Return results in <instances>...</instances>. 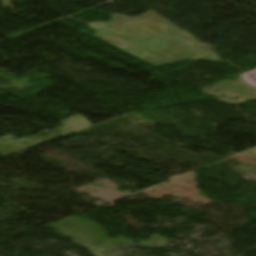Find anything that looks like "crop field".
<instances>
[{
    "instance_id": "obj_1",
    "label": "crop field",
    "mask_w": 256,
    "mask_h": 256,
    "mask_svg": "<svg viewBox=\"0 0 256 256\" xmlns=\"http://www.w3.org/2000/svg\"><path fill=\"white\" fill-rule=\"evenodd\" d=\"M248 84L256 87V69L240 75Z\"/></svg>"
}]
</instances>
